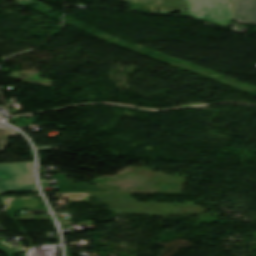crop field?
Returning <instances> with one entry per match:
<instances>
[{"label": "crop field", "instance_id": "8a807250", "mask_svg": "<svg viewBox=\"0 0 256 256\" xmlns=\"http://www.w3.org/2000/svg\"><path fill=\"white\" fill-rule=\"evenodd\" d=\"M33 169L34 163L0 164V193L38 191Z\"/></svg>", "mask_w": 256, "mask_h": 256}, {"label": "crop field", "instance_id": "ac0d7876", "mask_svg": "<svg viewBox=\"0 0 256 256\" xmlns=\"http://www.w3.org/2000/svg\"><path fill=\"white\" fill-rule=\"evenodd\" d=\"M192 18L226 27L234 18L230 0H185Z\"/></svg>", "mask_w": 256, "mask_h": 256}, {"label": "crop field", "instance_id": "34b2d1b8", "mask_svg": "<svg viewBox=\"0 0 256 256\" xmlns=\"http://www.w3.org/2000/svg\"><path fill=\"white\" fill-rule=\"evenodd\" d=\"M128 2L135 11L169 14L181 10L182 15L189 16L184 0H117Z\"/></svg>", "mask_w": 256, "mask_h": 256}, {"label": "crop field", "instance_id": "412701ff", "mask_svg": "<svg viewBox=\"0 0 256 256\" xmlns=\"http://www.w3.org/2000/svg\"><path fill=\"white\" fill-rule=\"evenodd\" d=\"M239 24H256V0H232Z\"/></svg>", "mask_w": 256, "mask_h": 256}, {"label": "crop field", "instance_id": "f4fd0767", "mask_svg": "<svg viewBox=\"0 0 256 256\" xmlns=\"http://www.w3.org/2000/svg\"><path fill=\"white\" fill-rule=\"evenodd\" d=\"M11 131L10 128L0 124V152L5 150L8 146L9 137L8 134Z\"/></svg>", "mask_w": 256, "mask_h": 256}, {"label": "crop field", "instance_id": "dd49c442", "mask_svg": "<svg viewBox=\"0 0 256 256\" xmlns=\"http://www.w3.org/2000/svg\"><path fill=\"white\" fill-rule=\"evenodd\" d=\"M18 4L23 5V4H29L33 2V0H17Z\"/></svg>", "mask_w": 256, "mask_h": 256}, {"label": "crop field", "instance_id": "e52e79f7", "mask_svg": "<svg viewBox=\"0 0 256 256\" xmlns=\"http://www.w3.org/2000/svg\"><path fill=\"white\" fill-rule=\"evenodd\" d=\"M0 119H1V117H0Z\"/></svg>", "mask_w": 256, "mask_h": 256}]
</instances>
